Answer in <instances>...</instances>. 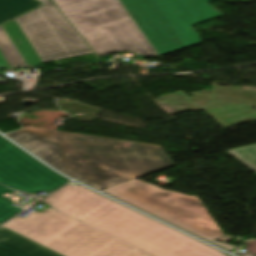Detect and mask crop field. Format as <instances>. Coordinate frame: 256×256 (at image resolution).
<instances>
[{
	"instance_id": "crop-field-1",
	"label": "crop field",
	"mask_w": 256,
	"mask_h": 256,
	"mask_svg": "<svg viewBox=\"0 0 256 256\" xmlns=\"http://www.w3.org/2000/svg\"><path fill=\"white\" fill-rule=\"evenodd\" d=\"M8 136L62 173L98 190L174 166L157 145L38 127Z\"/></svg>"
},
{
	"instance_id": "crop-field-2",
	"label": "crop field",
	"mask_w": 256,
	"mask_h": 256,
	"mask_svg": "<svg viewBox=\"0 0 256 256\" xmlns=\"http://www.w3.org/2000/svg\"><path fill=\"white\" fill-rule=\"evenodd\" d=\"M43 201L156 256H227L79 185H67Z\"/></svg>"
},
{
	"instance_id": "crop-field-3",
	"label": "crop field",
	"mask_w": 256,
	"mask_h": 256,
	"mask_svg": "<svg viewBox=\"0 0 256 256\" xmlns=\"http://www.w3.org/2000/svg\"><path fill=\"white\" fill-rule=\"evenodd\" d=\"M91 53L53 3L0 26V69L36 68Z\"/></svg>"
},
{
	"instance_id": "crop-field-4",
	"label": "crop field",
	"mask_w": 256,
	"mask_h": 256,
	"mask_svg": "<svg viewBox=\"0 0 256 256\" xmlns=\"http://www.w3.org/2000/svg\"><path fill=\"white\" fill-rule=\"evenodd\" d=\"M63 256H150L52 208L3 225Z\"/></svg>"
},
{
	"instance_id": "crop-field-5",
	"label": "crop field",
	"mask_w": 256,
	"mask_h": 256,
	"mask_svg": "<svg viewBox=\"0 0 256 256\" xmlns=\"http://www.w3.org/2000/svg\"><path fill=\"white\" fill-rule=\"evenodd\" d=\"M53 1L99 56L119 51H134L142 56L156 55L119 1Z\"/></svg>"
},
{
	"instance_id": "crop-field-6",
	"label": "crop field",
	"mask_w": 256,
	"mask_h": 256,
	"mask_svg": "<svg viewBox=\"0 0 256 256\" xmlns=\"http://www.w3.org/2000/svg\"><path fill=\"white\" fill-rule=\"evenodd\" d=\"M121 1L160 55L201 44L191 26L224 16L215 0Z\"/></svg>"
},
{
	"instance_id": "crop-field-7",
	"label": "crop field",
	"mask_w": 256,
	"mask_h": 256,
	"mask_svg": "<svg viewBox=\"0 0 256 256\" xmlns=\"http://www.w3.org/2000/svg\"><path fill=\"white\" fill-rule=\"evenodd\" d=\"M155 217L189 231L227 251L236 247L217 242L224 234L198 197L162 190L135 181L104 192Z\"/></svg>"
},
{
	"instance_id": "crop-field-8",
	"label": "crop field",
	"mask_w": 256,
	"mask_h": 256,
	"mask_svg": "<svg viewBox=\"0 0 256 256\" xmlns=\"http://www.w3.org/2000/svg\"><path fill=\"white\" fill-rule=\"evenodd\" d=\"M68 181L0 136V183L34 194L54 191Z\"/></svg>"
},
{
	"instance_id": "crop-field-9",
	"label": "crop field",
	"mask_w": 256,
	"mask_h": 256,
	"mask_svg": "<svg viewBox=\"0 0 256 256\" xmlns=\"http://www.w3.org/2000/svg\"><path fill=\"white\" fill-rule=\"evenodd\" d=\"M43 247L0 228V256H32Z\"/></svg>"
},
{
	"instance_id": "crop-field-10",
	"label": "crop field",
	"mask_w": 256,
	"mask_h": 256,
	"mask_svg": "<svg viewBox=\"0 0 256 256\" xmlns=\"http://www.w3.org/2000/svg\"><path fill=\"white\" fill-rule=\"evenodd\" d=\"M40 4L36 0H0V24Z\"/></svg>"
},
{
	"instance_id": "crop-field-11",
	"label": "crop field",
	"mask_w": 256,
	"mask_h": 256,
	"mask_svg": "<svg viewBox=\"0 0 256 256\" xmlns=\"http://www.w3.org/2000/svg\"><path fill=\"white\" fill-rule=\"evenodd\" d=\"M228 152L256 172V145L228 150Z\"/></svg>"
},
{
	"instance_id": "crop-field-12",
	"label": "crop field",
	"mask_w": 256,
	"mask_h": 256,
	"mask_svg": "<svg viewBox=\"0 0 256 256\" xmlns=\"http://www.w3.org/2000/svg\"><path fill=\"white\" fill-rule=\"evenodd\" d=\"M6 192L15 193V191L0 185V224L22 210L10 205L13 203L12 201L1 197Z\"/></svg>"
},
{
	"instance_id": "crop-field-13",
	"label": "crop field",
	"mask_w": 256,
	"mask_h": 256,
	"mask_svg": "<svg viewBox=\"0 0 256 256\" xmlns=\"http://www.w3.org/2000/svg\"><path fill=\"white\" fill-rule=\"evenodd\" d=\"M33 256H60L46 248L42 249L41 251H39L38 253H36Z\"/></svg>"
},
{
	"instance_id": "crop-field-14",
	"label": "crop field",
	"mask_w": 256,
	"mask_h": 256,
	"mask_svg": "<svg viewBox=\"0 0 256 256\" xmlns=\"http://www.w3.org/2000/svg\"><path fill=\"white\" fill-rule=\"evenodd\" d=\"M246 248L249 251V253L256 254V241L247 242Z\"/></svg>"
},
{
	"instance_id": "crop-field-15",
	"label": "crop field",
	"mask_w": 256,
	"mask_h": 256,
	"mask_svg": "<svg viewBox=\"0 0 256 256\" xmlns=\"http://www.w3.org/2000/svg\"><path fill=\"white\" fill-rule=\"evenodd\" d=\"M239 256H256V255H253V254H249V253H237Z\"/></svg>"
},
{
	"instance_id": "crop-field-16",
	"label": "crop field",
	"mask_w": 256,
	"mask_h": 256,
	"mask_svg": "<svg viewBox=\"0 0 256 256\" xmlns=\"http://www.w3.org/2000/svg\"><path fill=\"white\" fill-rule=\"evenodd\" d=\"M39 1L43 2L44 4L51 3V0H39Z\"/></svg>"
}]
</instances>
